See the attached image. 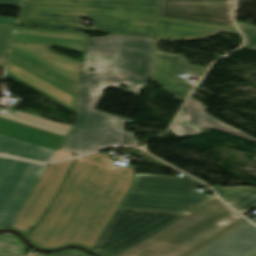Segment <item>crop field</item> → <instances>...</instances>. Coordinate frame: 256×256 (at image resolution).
<instances>
[{
	"mask_svg": "<svg viewBox=\"0 0 256 256\" xmlns=\"http://www.w3.org/2000/svg\"><path fill=\"white\" fill-rule=\"evenodd\" d=\"M47 167L0 156V228H10Z\"/></svg>",
	"mask_w": 256,
	"mask_h": 256,
	"instance_id": "crop-field-8",
	"label": "crop field"
},
{
	"mask_svg": "<svg viewBox=\"0 0 256 256\" xmlns=\"http://www.w3.org/2000/svg\"><path fill=\"white\" fill-rule=\"evenodd\" d=\"M256 223V222H255Z\"/></svg>",
	"mask_w": 256,
	"mask_h": 256,
	"instance_id": "crop-field-27",
	"label": "crop field"
},
{
	"mask_svg": "<svg viewBox=\"0 0 256 256\" xmlns=\"http://www.w3.org/2000/svg\"><path fill=\"white\" fill-rule=\"evenodd\" d=\"M239 28L247 40V49L256 50V27L237 21Z\"/></svg>",
	"mask_w": 256,
	"mask_h": 256,
	"instance_id": "crop-field-19",
	"label": "crop field"
},
{
	"mask_svg": "<svg viewBox=\"0 0 256 256\" xmlns=\"http://www.w3.org/2000/svg\"><path fill=\"white\" fill-rule=\"evenodd\" d=\"M26 246H24L12 234H0V252L24 255Z\"/></svg>",
	"mask_w": 256,
	"mask_h": 256,
	"instance_id": "crop-field-17",
	"label": "crop field"
},
{
	"mask_svg": "<svg viewBox=\"0 0 256 256\" xmlns=\"http://www.w3.org/2000/svg\"><path fill=\"white\" fill-rule=\"evenodd\" d=\"M15 26L0 24V67H4Z\"/></svg>",
	"mask_w": 256,
	"mask_h": 256,
	"instance_id": "crop-field-18",
	"label": "crop field"
},
{
	"mask_svg": "<svg viewBox=\"0 0 256 256\" xmlns=\"http://www.w3.org/2000/svg\"><path fill=\"white\" fill-rule=\"evenodd\" d=\"M227 203L243 215L246 214L256 208V187L253 186L247 189Z\"/></svg>",
	"mask_w": 256,
	"mask_h": 256,
	"instance_id": "crop-field-16",
	"label": "crop field"
},
{
	"mask_svg": "<svg viewBox=\"0 0 256 256\" xmlns=\"http://www.w3.org/2000/svg\"><path fill=\"white\" fill-rule=\"evenodd\" d=\"M137 155L153 164L169 167L139 149ZM175 171L178 173L174 177L134 174L132 185L120 207L184 212L213 196L198 193L195 187L202 186L201 182L192 178L176 177L181 172Z\"/></svg>",
	"mask_w": 256,
	"mask_h": 256,
	"instance_id": "crop-field-6",
	"label": "crop field"
},
{
	"mask_svg": "<svg viewBox=\"0 0 256 256\" xmlns=\"http://www.w3.org/2000/svg\"><path fill=\"white\" fill-rule=\"evenodd\" d=\"M16 21H17V19H15V18H3V17H0V22L15 24Z\"/></svg>",
	"mask_w": 256,
	"mask_h": 256,
	"instance_id": "crop-field-25",
	"label": "crop field"
},
{
	"mask_svg": "<svg viewBox=\"0 0 256 256\" xmlns=\"http://www.w3.org/2000/svg\"><path fill=\"white\" fill-rule=\"evenodd\" d=\"M103 153L77 158L41 224L28 238L37 247L93 248L129 189L134 167L112 168Z\"/></svg>",
	"mask_w": 256,
	"mask_h": 256,
	"instance_id": "crop-field-2",
	"label": "crop field"
},
{
	"mask_svg": "<svg viewBox=\"0 0 256 256\" xmlns=\"http://www.w3.org/2000/svg\"><path fill=\"white\" fill-rule=\"evenodd\" d=\"M238 33L236 28L160 18L156 40H198L212 37L216 31Z\"/></svg>",
	"mask_w": 256,
	"mask_h": 256,
	"instance_id": "crop-field-13",
	"label": "crop field"
},
{
	"mask_svg": "<svg viewBox=\"0 0 256 256\" xmlns=\"http://www.w3.org/2000/svg\"><path fill=\"white\" fill-rule=\"evenodd\" d=\"M87 40L85 32L16 26L3 75L75 113L83 63L50 46L85 53Z\"/></svg>",
	"mask_w": 256,
	"mask_h": 256,
	"instance_id": "crop-field-3",
	"label": "crop field"
},
{
	"mask_svg": "<svg viewBox=\"0 0 256 256\" xmlns=\"http://www.w3.org/2000/svg\"><path fill=\"white\" fill-rule=\"evenodd\" d=\"M0 256H6V255H0ZM50 256H89V255L78 250H69L66 252L58 253V254H52Z\"/></svg>",
	"mask_w": 256,
	"mask_h": 256,
	"instance_id": "crop-field-22",
	"label": "crop field"
},
{
	"mask_svg": "<svg viewBox=\"0 0 256 256\" xmlns=\"http://www.w3.org/2000/svg\"><path fill=\"white\" fill-rule=\"evenodd\" d=\"M256 249V227L245 223L192 256H247Z\"/></svg>",
	"mask_w": 256,
	"mask_h": 256,
	"instance_id": "crop-field-12",
	"label": "crop field"
},
{
	"mask_svg": "<svg viewBox=\"0 0 256 256\" xmlns=\"http://www.w3.org/2000/svg\"><path fill=\"white\" fill-rule=\"evenodd\" d=\"M72 156L73 155L71 153L58 149V151H57L56 155L54 156L52 162L63 159V158L72 157Z\"/></svg>",
	"mask_w": 256,
	"mask_h": 256,
	"instance_id": "crop-field-23",
	"label": "crop field"
},
{
	"mask_svg": "<svg viewBox=\"0 0 256 256\" xmlns=\"http://www.w3.org/2000/svg\"><path fill=\"white\" fill-rule=\"evenodd\" d=\"M73 161L74 159L48 167L11 229L25 234L39 222L57 195Z\"/></svg>",
	"mask_w": 256,
	"mask_h": 256,
	"instance_id": "crop-field-9",
	"label": "crop field"
},
{
	"mask_svg": "<svg viewBox=\"0 0 256 256\" xmlns=\"http://www.w3.org/2000/svg\"><path fill=\"white\" fill-rule=\"evenodd\" d=\"M157 44L158 41L155 44L150 79L184 101L193 84L177 78V75L188 72L192 75L202 76L207 67L190 66L182 55L160 52L157 49Z\"/></svg>",
	"mask_w": 256,
	"mask_h": 256,
	"instance_id": "crop-field-11",
	"label": "crop field"
},
{
	"mask_svg": "<svg viewBox=\"0 0 256 256\" xmlns=\"http://www.w3.org/2000/svg\"><path fill=\"white\" fill-rule=\"evenodd\" d=\"M215 200L214 196L184 213L118 208L93 250L114 256Z\"/></svg>",
	"mask_w": 256,
	"mask_h": 256,
	"instance_id": "crop-field-7",
	"label": "crop field"
},
{
	"mask_svg": "<svg viewBox=\"0 0 256 256\" xmlns=\"http://www.w3.org/2000/svg\"><path fill=\"white\" fill-rule=\"evenodd\" d=\"M170 131L176 134L177 136H187L201 132L197 128L179 119L176 120Z\"/></svg>",
	"mask_w": 256,
	"mask_h": 256,
	"instance_id": "crop-field-20",
	"label": "crop field"
},
{
	"mask_svg": "<svg viewBox=\"0 0 256 256\" xmlns=\"http://www.w3.org/2000/svg\"><path fill=\"white\" fill-rule=\"evenodd\" d=\"M0 153L37 162H50L55 155L56 150L0 135Z\"/></svg>",
	"mask_w": 256,
	"mask_h": 256,
	"instance_id": "crop-field-15",
	"label": "crop field"
},
{
	"mask_svg": "<svg viewBox=\"0 0 256 256\" xmlns=\"http://www.w3.org/2000/svg\"><path fill=\"white\" fill-rule=\"evenodd\" d=\"M22 0H0V5H7L20 8Z\"/></svg>",
	"mask_w": 256,
	"mask_h": 256,
	"instance_id": "crop-field-24",
	"label": "crop field"
},
{
	"mask_svg": "<svg viewBox=\"0 0 256 256\" xmlns=\"http://www.w3.org/2000/svg\"><path fill=\"white\" fill-rule=\"evenodd\" d=\"M235 215L217 200L118 256H190L243 224ZM223 220L229 223L219 226Z\"/></svg>",
	"mask_w": 256,
	"mask_h": 256,
	"instance_id": "crop-field-5",
	"label": "crop field"
},
{
	"mask_svg": "<svg viewBox=\"0 0 256 256\" xmlns=\"http://www.w3.org/2000/svg\"><path fill=\"white\" fill-rule=\"evenodd\" d=\"M200 102V101H199ZM194 98L190 97L187 104L185 105V112L180 113L178 118L184 119L192 125L204 130L206 128L217 129L222 132L230 133L235 136L242 137L244 139L256 141L252 136L245 134L233 127H230L223 122L219 121L215 117L209 115L205 111L209 108L199 103Z\"/></svg>",
	"mask_w": 256,
	"mask_h": 256,
	"instance_id": "crop-field-14",
	"label": "crop field"
},
{
	"mask_svg": "<svg viewBox=\"0 0 256 256\" xmlns=\"http://www.w3.org/2000/svg\"><path fill=\"white\" fill-rule=\"evenodd\" d=\"M251 186H240V187H216V193L221 197L225 202L229 201L242 191L246 190Z\"/></svg>",
	"mask_w": 256,
	"mask_h": 256,
	"instance_id": "crop-field-21",
	"label": "crop field"
},
{
	"mask_svg": "<svg viewBox=\"0 0 256 256\" xmlns=\"http://www.w3.org/2000/svg\"><path fill=\"white\" fill-rule=\"evenodd\" d=\"M250 256H256V252H254L253 254H251Z\"/></svg>",
	"mask_w": 256,
	"mask_h": 256,
	"instance_id": "crop-field-26",
	"label": "crop field"
},
{
	"mask_svg": "<svg viewBox=\"0 0 256 256\" xmlns=\"http://www.w3.org/2000/svg\"><path fill=\"white\" fill-rule=\"evenodd\" d=\"M154 38L109 35L89 38L80 84L75 124L61 149L77 155L118 145H137L133 132L122 131L124 118L94 110L101 89L134 93L148 80ZM88 66L95 67L87 72ZM104 70L103 73L101 71ZM119 83L129 90L118 87Z\"/></svg>",
	"mask_w": 256,
	"mask_h": 256,
	"instance_id": "crop-field-1",
	"label": "crop field"
},
{
	"mask_svg": "<svg viewBox=\"0 0 256 256\" xmlns=\"http://www.w3.org/2000/svg\"><path fill=\"white\" fill-rule=\"evenodd\" d=\"M233 0H163L160 16L232 26Z\"/></svg>",
	"mask_w": 256,
	"mask_h": 256,
	"instance_id": "crop-field-10",
	"label": "crop field"
},
{
	"mask_svg": "<svg viewBox=\"0 0 256 256\" xmlns=\"http://www.w3.org/2000/svg\"><path fill=\"white\" fill-rule=\"evenodd\" d=\"M160 0H23L16 25L154 36ZM93 21L80 25L79 16Z\"/></svg>",
	"mask_w": 256,
	"mask_h": 256,
	"instance_id": "crop-field-4",
	"label": "crop field"
}]
</instances>
